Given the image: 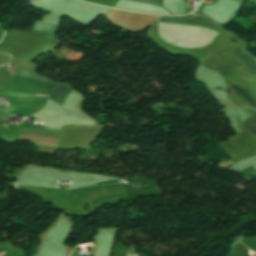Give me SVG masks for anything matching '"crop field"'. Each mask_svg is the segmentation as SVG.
<instances>
[{"mask_svg": "<svg viewBox=\"0 0 256 256\" xmlns=\"http://www.w3.org/2000/svg\"><path fill=\"white\" fill-rule=\"evenodd\" d=\"M230 54L239 61L242 66L252 75H256V63L253 59L246 56L240 48L236 45V47L230 52Z\"/></svg>", "mask_w": 256, "mask_h": 256, "instance_id": "obj_3", "label": "crop field"}, {"mask_svg": "<svg viewBox=\"0 0 256 256\" xmlns=\"http://www.w3.org/2000/svg\"><path fill=\"white\" fill-rule=\"evenodd\" d=\"M70 92H72V89L68 85H57L50 93L49 99L63 105Z\"/></svg>", "mask_w": 256, "mask_h": 256, "instance_id": "obj_4", "label": "crop field"}, {"mask_svg": "<svg viewBox=\"0 0 256 256\" xmlns=\"http://www.w3.org/2000/svg\"><path fill=\"white\" fill-rule=\"evenodd\" d=\"M57 28L58 27H55V26H49V25L35 23V26L32 31L55 34L57 31Z\"/></svg>", "mask_w": 256, "mask_h": 256, "instance_id": "obj_7", "label": "crop field"}, {"mask_svg": "<svg viewBox=\"0 0 256 256\" xmlns=\"http://www.w3.org/2000/svg\"><path fill=\"white\" fill-rule=\"evenodd\" d=\"M104 188H105V186H99V187L71 190L69 199H84L87 192L102 190Z\"/></svg>", "mask_w": 256, "mask_h": 256, "instance_id": "obj_5", "label": "crop field"}, {"mask_svg": "<svg viewBox=\"0 0 256 256\" xmlns=\"http://www.w3.org/2000/svg\"><path fill=\"white\" fill-rule=\"evenodd\" d=\"M16 75L50 82L49 80H47L44 77H41L40 75L36 74L35 72L20 69V68L18 69V72ZM3 92L8 99H14V100H19V101H40V100H46V98H47V97H39L40 95L39 96H30L28 94H21V93L7 92V91H3Z\"/></svg>", "mask_w": 256, "mask_h": 256, "instance_id": "obj_2", "label": "crop field"}, {"mask_svg": "<svg viewBox=\"0 0 256 256\" xmlns=\"http://www.w3.org/2000/svg\"><path fill=\"white\" fill-rule=\"evenodd\" d=\"M226 84L231 89H233L238 95H240L242 98H244L247 102H249L251 105H253L256 108V102L252 99V97L249 95V93L245 89H243L231 82H228Z\"/></svg>", "mask_w": 256, "mask_h": 256, "instance_id": "obj_6", "label": "crop field"}, {"mask_svg": "<svg viewBox=\"0 0 256 256\" xmlns=\"http://www.w3.org/2000/svg\"><path fill=\"white\" fill-rule=\"evenodd\" d=\"M139 1H143V2H149V3H152V4H156V5H159V2H158V0H139Z\"/></svg>", "mask_w": 256, "mask_h": 256, "instance_id": "obj_10", "label": "crop field"}, {"mask_svg": "<svg viewBox=\"0 0 256 256\" xmlns=\"http://www.w3.org/2000/svg\"><path fill=\"white\" fill-rule=\"evenodd\" d=\"M120 195H123V194H117V195H112V196H108V197L98 198V199L93 201L92 206L96 205L98 202H100L103 199H107V198H111V197H115V196H120Z\"/></svg>", "mask_w": 256, "mask_h": 256, "instance_id": "obj_9", "label": "crop field"}, {"mask_svg": "<svg viewBox=\"0 0 256 256\" xmlns=\"http://www.w3.org/2000/svg\"><path fill=\"white\" fill-rule=\"evenodd\" d=\"M158 21H164L171 24L194 25L199 27H205L218 33H220V31L222 30L213 22L197 15L194 16L192 14L177 17H160Z\"/></svg>", "mask_w": 256, "mask_h": 256, "instance_id": "obj_1", "label": "crop field"}, {"mask_svg": "<svg viewBox=\"0 0 256 256\" xmlns=\"http://www.w3.org/2000/svg\"><path fill=\"white\" fill-rule=\"evenodd\" d=\"M256 123V113L253 114L252 117H250L248 120L242 122V124L244 125V127L247 129L250 126H252L253 124ZM252 135L256 134V124L253 125L252 127H250L249 129H247Z\"/></svg>", "mask_w": 256, "mask_h": 256, "instance_id": "obj_8", "label": "crop field"}]
</instances>
